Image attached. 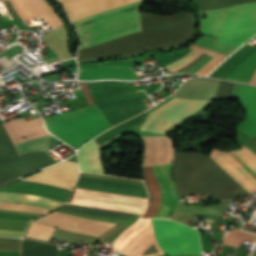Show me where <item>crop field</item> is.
I'll list each match as a JSON object with an SVG mask.
<instances>
[{
  "label": "crop field",
  "mask_w": 256,
  "mask_h": 256,
  "mask_svg": "<svg viewBox=\"0 0 256 256\" xmlns=\"http://www.w3.org/2000/svg\"><path fill=\"white\" fill-rule=\"evenodd\" d=\"M149 112L150 111L148 110V111L144 112L143 114H141V115H139V116H137L133 119L128 120L125 123H122V124L112 128V129H110L109 131L99 135L94 140L99 145V144L111 139L112 137L116 136L117 134H119V133H121V132H123V131L141 123V122H144Z\"/></svg>",
  "instance_id": "crop-field-22"
},
{
  "label": "crop field",
  "mask_w": 256,
  "mask_h": 256,
  "mask_svg": "<svg viewBox=\"0 0 256 256\" xmlns=\"http://www.w3.org/2000/svg\"><path fill=\"white\" fill-rule=\"evenodd\" d=\"M208 102L206 100L173 98L150 112L141 130L166 134L177 123Z\"/></svg>",
  "instance_id": "crop-field-10"
},
{
  "label": "crop field",
  "mask_w": 256,
  "mask_h": 256,
  "mask_svg": "<svg viewBox=\"0 0 256 256\" xmlns=\"http://www.w3.org/2000/svg\"><path fill=\"white\" fill-rule=\"evenodd\" d=\"M245 147L250 149L256 154V135L244 144Z\"/></svg>",
  "instance_id": "crop-field-35"
},
{
  "label": "crop field",
  "mask_w": 256,
  "mask_h": 256,
  "mask_svg": "<svg viewBox=\"0 0 256 256\" xmlns=\"http://www.w3.org/2000/svg\"><path fill=\"white\" fill-rule=\"evenodd\" d=\"M53 230V227L46 226L37 222H32L26 234V237L44 239L48 241Z\"/></svg>",
  "instance_id": "crop-field-25"
},
{
  "label": "crop field",
  "mask_w": 256,
  "mask_h": 256,
  "mask_svg": "<svg viewBox=\"0 0 256 256\" xmlns=\"http://www.w3.org/2000/svg\"><path fill=\"white\" fill-rule=\"evenodd\" d=\"M79 85H80V87H81V89H82V91H83V93L85 95V98H86L88 104L89 105L95 104L93 99H92V97H91L90 92H88L89 89H88L86 83H81L80 82Z\"/></svg>",
  "instance_id": "crop-field-34"
},
{
  "label": "crop field",
  "mask_w": 256,
  "mask_h": 256,
  "mask_svg": "<svg viewBox=\"0 0 256 256\" xmlns=\"http://www.w3.org/2000/svg\"><path fill=\"white\" fill-rule=\"evenodd\" d=\"M156 241L168 255L198 254L200 242L197 230L164 219H151Z\"/></svg>",
  "instance_id": "crop-field-8"
},
{
  "label": "crop field",
  "mask_w": 256,
  "mask_h": 256,
  "mask_svg": "<svg viewBox=\"0 0 256 256\" xmlns=\"http://www.w3.org/2000/svg\"><path fill=\"white\" fill-rule=\"evenodd\" d=\"M181 256H201V255H181Z\"/></svg>",
  "instance_id": "crop-field-38"
},
{
  "label": "crop field",
  "mask_w": 256,
  "mask_h": 256,
  "mask_svg": "<svg viewBox=\"0 0 256 256\" xmlns=\"http://www.w3.org/2000/svg\"><path fill=\"white\" fill-rule=\"evenodd\" d=\"M147 146L145 166L171 163L173 161V144L167 136L143 137Z\"/></svg>",
  "instance_id": "crop-field-17"
},
{
  "label": "crop field",
  "mask_w": 256,
  "mask_h": 256,
  "mask_svg": "<svg viewBox=\"0 0 256 256\" xmlns=\"http://www.w3.org/2000/svg\"><path fill=\"white\" fill-rule=\"evenodd\" d=\"M69 204L142 215L147 205V199L76 188Z\"/></svg>",
  "instance_id": "crop-field-11"
},
{
  "label": "crop field",
  "mask_w": 256,
  "mask_h": 256,
  "mask_svg": "<svg viewBox=\"0 0 256 256\" xmlns=\"http://www.w3.org/2000/svg\"><path fill=\"white\" fill-rule=\"evenodd\" d=\"M64 209L71 210V211L104 215V216L118 217V218H124V219H128L130 216H132L131 214H126L122 212H111L106 210L84 208V207H78V206H72V205H69ZM36 221L47 224V225L59 227L65 230L84 233V234H90L95 236H100L101 234L105 233L110 228L116 225V224L101 222L97 220L58 213V212H54Z\"/></svg>",
  "instance_id": "crop-field-9"
},
{
  "label": "crop field",
  "mask_w": 256,
  "mask_h": 256,
  "mask_svg": "<svg viewBox=\"0 0 256 256\" xmlns=\"http://www.w3.org/2000/svg\"><path fill=\"white\" fill-rule=\"evenodd\" d=\"M217 40H218L217 38L203 36L201 39L196 41L195 44L201 45L203 47H206L227 55L231 54L235 49L238 48L237 46L216 42Z\"/></svg>",
  "instance_id": "crop-field-23"
},
{
  "label": "crop field",
  "mask_w": 256,
  "mask_h": 256,
  "mask_svg": "<svg viewBox=\"0 0 256 256\" xmlns=\"http://www.w3.org/2000/svg\"><path fill=\"white\" fill-rule=\"evenodd\" d=\"M201 20L203 34L220 37L219 42L240 46L256 34V3L207 12Z\"/></svg>",
  "instance_id": "crop-field-6"
},
{
  "label": "crop field",
  "mask_w": 256,
  "mask_h": 256,
  "mask_svg": "<svg viewBox=\"0 0 256 256\" xmlns=\"http://www.w3.org/2000/svg\"><path fill=\"white\" fill-rule=\"evenodd\" d=\"M146 58L148 57L144 55L136 59L81 66L78 79H139L130 66L138 64Z\"/></svg>",
  "instance_id": "crop-field-14"
},
{
  "label": "crop field",
  "mask_w": 256,
  "mask_h": 256,
  "mask_svg": "<svg viewBox=\"0 0 256 256\" xmlns=\"http://www.w3.org/2000/svg\"><path fill=\"white\" fill-rule=\"evenodd\" d=\"M79 0H59L61 4ZM140 0H84L62 5L73 22L98 11L114 8Z\"/></svg>",
  "instance_id": "crop-field-15"
},
{
  "label": "crop field",
  "mask_w": 256,
  "mask_h": 256,
  "mask_svg": "<svg viewBox=\"0 0 256 256\" xmlns=\"http://www.w3.org/2000/svg\"><path fill=\"white\" fill-rule=\"evenodd\" d=\"M88 84L96 105L111 127L146 110L137 94L130 92L128 83ZM96 105L45 118L46 128L77 148L89 138L110 128Z\"/></svg>",
  "instance_id": "crop-field-2"
},
{
  "label": "crop field",
  "mask_w": 256,
  "mask_h": 256,
  "mask_svg": "<svg viewBox=\"0 0 256 256\" xmlns=\"http://www.w3.org/2000/svg\"><path fill=\"white\" fill-rule=\"evenodd\" d=\"M253 234L233 229L223 240V244L240 247L243 240L251 241Z\"/></svg>",
  "instance_id": "crop-field-27"
},
{
  "label": "crop field",
  "mask_w": 256,
  "mask_h": 256,
  "mask_svg": "<svg viewBox=\"0 0 256 256\" xmlns=\"http://www.w3.org/2000/svg\"><path fill=\"white\" fill-rule=\"evenodd\" d=\"M239 98H243L250 117H246L237 128L254 136L256 134V88L243 85Z\"/></svg>",
  "instance_id": "crop-field-20"
},
{
  "label": "crop field",
  "mask_w": 256,
  "mask_h": 256,
  "mask_svg": "<svg viewBox=\"0 0 256 256\" xmlns=\"http://www.w3.org/2000/svg\"><path fill=\"white\" fill-rule=\"evenodd\" d=\"M253 255H256V250H255V252H254V254Z\"/></svg>",
  "instance_id": "crop-field-39"
},
{
  "label": "crop field",
  "mask_w": 256,
  "mask_h": 256,
  "mask_svg": "<svg viewBox=\"0 0 256 256\" xmlns=\"http://www.w3.org/2000/svg\"><path fill=\"white\" fill-rule=\"evenodd\" d=\"M190 48L194 49V50H197L201 53H204V54H208L212 57H215V58H218V59H221L223 60L224 58H226L227 56H224L222 54H219V53H216V52H212V51H209V50H206V49H203L201 47H198V46H195V45H191Z\"/></svg>",
  "instance_id": "crop-field-30"
},
{
  "label": "crop field",
  "mask_w": 256,
  "mask_h": 256,
  "mask_svg": "<svg viewBox=\"0 0 256 256\" xmlns=\"http://www.w3.org/2000/svg\"><path fill=\"white\" fill-rule=\"evenodd\" d=\"M256 50L255 46L244 45L231 55L222 65L215 69L210 76L225 79L229 76L248 56ZM256 69V51L248 57L229 77L226 79L249 83Z\"/></svg>",
  "instance_id": "crop-field-13"
},
{
  "label": "crop field",
  "mask_w": 256,
  "mask_h": 256,
  "mask_svg": "<svg viewBox=\"0 0 256 256\" xmlns=\"http://www.w3.org/2000/svg\"><path fill=\"white\" fill-rule=\"evenodd\" d=\"M22 235H23V231L0 229V236H8V237L21 238Z\"/></svg>",
  "instance_id": "crop-field-32"
},
{
  "label": "crop field",
  "mask_w": 256,
  "mask_h": 256,
  "mask_svg": "<svg viewBox=\"0 0 256 256\" xmlns=\"http://www.w3.org/2000/svg\"><path fill=\"white\" fill-rule=\"evenodd\" d=\"M250 84L256 85V71H255V73H254V75H253V77H252V79L250 81Z\"/></svg>",
  "instance_id": "crop-field-37"
},
{
  "label": "crop field",
  "mask_w": 256,
  "mask_h": 256,
  "mask_svg": "<svg viewBox=\"0 0 256 256\" xmlns=\"http://www.w3.org/2000/svg\"><path fill=\"white\" fill-rule=\"evenodd\" d=\"M81 171L103 174L100 163V148L92 140L78 151Z\"/></svg>",
  "instance_id": "crop-field-21"
},
{
  "label": "crop field",
  "mask_w": 256,
  "mask_h": 256,
  "mask_svg": "<svg viewBox=\"0 0 256 256\" xmlns=\"http://www.w3.org/2000/svg\"><path fill=\"white\" fill-rule=\"evenodd\" d=\"M3 126L11 138L42 127L43 121L39 118L27 122L20 118L5 122ZM3 126L0 123V159L17 155V153L21 155L45 149L49 146L50 135H47L13 144L17 151L16 153ZM55 163L57 162L43 151L0 161V185Z\"/></svg>",
  "instance_id": "crop-field-3"
},
{
  "label": "crop field",
  "mask_w": 256,
  "mask_h": 256,
  "mask_svg": "<svg viewBox=\"0 0 256 256\" xmlns=\"http://www.w3.org/2000/svg\"><path fill=\"white\" fill-rule=\"evenodd\" d=\"M256 0H196L201 11L239 5L241 3L253 2Z\"/></svg>",
  "instance_id": "crop-field-24"
},
{
  "label": "crop field",
  "mask_w": 256,
  "mask_h": 256,
  "mask_svg": "<svg viewBox=\"0 0 256 256\" xmlns=\"http://www.w3.org/2000/svg\"><path fill=\"white\" fill-rule=\"evenodd\" d=\"M208 55L202 54L200 57H198L193 63H191L186 68L178 71V72H187L189 73L191 70H193L198 64H200L205 58H207Z\"/></svg>",
  "instance_id": "crop-field-33"
},
{
  "label": "crop field",
  "mask_w": 256,
  "mask_h": 256,
  "mask_svg": "<svg viewBox=\"0 0 256 256\" xmlns=\"http://www.w3.org/2000/svg\"><path fill=\"white\" fill-rule=\"evenodd\" d=\"M238 152L243 158H245L255 169H256V157L251 154L244 147L238 151L232 152L230 154ZM238 153L215 160V162L224 169L235 181H237L242 187L256 183V170ZM244 189L250 193L256 191V184L244 187Z\"/></svg>",
  "instance_id": "crop-field-12"
},
{
  "label": "crop field",
  "mask_w": 256,
  "mask_h": 256,
  "mask_svg": "<svg viewBox=\"0 0 256 256\" xmlns=\"http://www.w3.org/2000/svg\"><path fill=\"white\" fill-rule=\"evenodd\" d=\"M10 2L23 21L42 17L54 29L63 24L44 0H10Z\"/></svg>",
  "instance_id": "crop-field-16"
},
{
  "label": "crop field",
  "mask_w": 256,
  "mask_h": 256,
  "mask_svg": "<svg viewBox=\"0 0 256 256\" xmlns=\"http://www.w3.org/2000/svg\"><path fill=\"white\" fill-rule=\"evenodd\" d=\"M201 55V53H197L193 58H191L189 61H187L185 64H183L181 67H179V68H176V69H174V70H171V72H175V71H178V70H180V69H182L183 67H185V66H187L188 64H190L192 61H194L198 56H200Z\"/></svg>",
  "instance_id": "crop-field-36"
},
{
  "label": "crop field",
  "mask_w": 256,
  "mask_h": 256,
  "mask_svg": "<svg viewBox=\"0 0 256 256\" xmlns=\"http://www.w3.org/2000/svg\"><path fill=\"white\" fill-rule=\"evenodd\" d=\"M40 39L59 56L44 60L47 64L72 58L67 47L68 39L62 25Z\"/></svg>",
  "instance_id": "crop-field-19"
},
{
  "label": "crop field",
  "mask_w": 256,
  "mask_h": 256,
  "mask_svg": "<svg viewBox=\"0 0 256 256\" xmlns=\"http://www.w3.org/2000/svg\"><path fill=\"white\" fill-rule=\"evenodd\" d=\"M197 52L192 50L188 55H186L185 57H183L182 59L172 63V64H169L167 66H165L167 69L171 70L181 64H183L184 62H186L187 60H189L191 57H193Z\"/></svg>",
  "instance_id": "crop-field-31"
},
{
  "label": "crop field",
  "mask_w": 256,
  "mask_h": 256,
  "mask_svg": "<svg viewBox=\"0 0 256 256\" xmlns=\"http://www.w3.org/2000/svg\"><path fill=\"white\" fill-rule=\"evenodd\" d=\"M221 60L213 58L211 61H209L205 66H203L201 69H199L196 73L198 75L206 76L209 72H211L219 63Z\"/></svg>",
  "instance_id": "crop-field-29"
},
{
  "label": "crop field",
  "mask_w": 256,
  "mask_h": 256,
  "mask_svg": "<svg viewBox=\"0 0 256 256\" xmlns=\"http://www.w3.org/2000/svg\"><path fill=\"white\" fill-rule=\"evenodd\" d=\"M79 187L143 197L140 186L136 184L84 177Z\"/></svg>",
  "instance_id": "crop-field-18"
},
{
  "label": "crop field",
  "mask_w": 256,
  "mask_h": 256,
  "mask_svg": "<svg viewBox=\"0 0 256 256\" xmlns=\"http://www.w3.org/2000/svg\"><path fill=\"white\" fill-rule=\"evenodd\" d=\"M21 239H1L0 251L20 252ZM0 252V256H19L20 253Z\"/></svg>",
  "instance_id": "crop-field-26"
},
{
  "label": "crop field",
  "mask_w": 256,
  "mask_h": 256,
  "mask_svg": "<svg viewBox=\"0 0 256 256\" xmlns=\"http://www.w3.org/2000/svg\"><path fill=\"white\" fill-rule=\"evenodd\" d=\"M233 83L220 81L218 91L214 99H232Z\"/></svg>",
  "instance_id": "crop-field-28"
},
{
  "label": "crop field",
  "mask_w": 256,
  "mask_h": 256,
  "mask_svg": "<svg viewBox=\"0 0 256 256\" xmlns=\"http://www.w3.org/2000/svg\"><path fill=\"white\" fill-rule=\"evenodd\" d=\"M161 188V204L160 203V189L159 185L154 173V170ZM150 166V167H142V171L144 173L146 184L151 191L150 199L151 204L149 209L144 213L142 218H150L153 217H169L171 212L177 205L178 195L176 192L175 185L173 184L170 176V167L171 164L168 165H160V166Z\"/></svg>",
  "instance_id": "crop-field-7"
},
{
  "label": "crop field",
  "mask_w": 256,
  "mask_h": 256,
  "mask_svg": "<svg viewBox=\"0 0 256 256\" xmlns=\"http://www.w3.org/2000/svg\"><path fill=\"white\" fill-rule=\"evenodd\" d=\"M141 3L142 1L114 8L73 22L81 38L80 50L116 37L140 32ZM141 24L140 33L79 50L78 60L127 56L148 48L174 47L195 35L190 13L170 16L141 13Z\"/></svg>",
  "instance_id": "crop-field-1"
},
{
  "label": "crop field",
  "mask_w": 256,
  "mask_h": 256,
  "mask_svg": "<svg viewBox=\"0 0 256 256\" xmlns=\"http://www.w3.org/2000/svg\"><path fill=\"white\" fill-rule=\"evenodd\" d=\"M78 172V163L64 161L24 180L38 181L72 189ZM24 180H20L10 186L0 188V191L37 194L64 202L67 201L71 192L70 189ZM7 192H0V201L37 205L50 210L65 204L64 202L37 195Z\"/></svg>",
  "instance_id": "crop-field-5"
},
{
  "label": "crop field",
  "mask_w": 256,
  "mask_h": 256,
  "mask_svg": "<svg viewBox=\"0 0 256 256\" xmlns=\"http://www.w3.org/2000/svg\"><path fill=\"white\" fill-rule=\"evenodd\" d=\"M180 196L187 193H210L219 199L247 193L207 155L175 152L172 169Z\"/></svg>",
  "instance_id": "crop-field-4"
}]
</instances>
